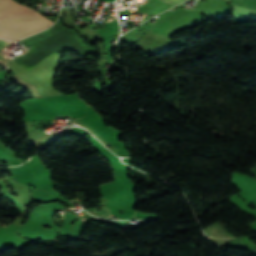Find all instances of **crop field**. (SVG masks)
I'll return each mask as SVG.
<instances>
[{"label":"crop field","mask_w":256,"mask_h":256,"mask_svg":"<svg viewBox=\"0 0 256 256\" xmlns=\"http://www.w3.org/2000/svg\"><path fill=\"white\" fill-rule=\"evenodd\" d=\"M80 218H82V219H83V218H85V217H83V216H82V217H80Z\"/></svg>","instance_id":"412701ff"},{"label":"crop field","mask_w":256,"mask_h":256,"mask_svg":"<svg viewBox=\"0 0 256 256\" xmlns=\"http://www.w3.org/2000/svg\"><path fill=\"white\" fill-rule=\"evenodd\" d=\"M53 24L32 8L12 0H0V38L16 42Z\"/></svg>","instance_id":"8a807250"},{"label":"crop field","mask_w":256,"mask_h":256,"mask_svg":"<svg viewBox=\"0 0 256 256\" xmlns=\"http://www.w3.org/2000/svg\"><path fill=\"white\" fill-rule=\"evenodd\" d=\"M11 43L0 40V65L7 69L5 54H2L3 50L6 49Z\"/></svg>","instance_id":"ac0d7876"},{"label":"crop field","mask_w":256,"mask_h":256,"mask_svg":"<svg viewBox=\"0 0 256 256\" xmlns=\"http://www.w3.org/2000/svg\"><path fill=\"white\" fill-rule=\"evenodd\" d=\"M252 231H256V224H254L251 228Z\"/></svg>","instance_id":"34b2d1b8"}]
</instances>
